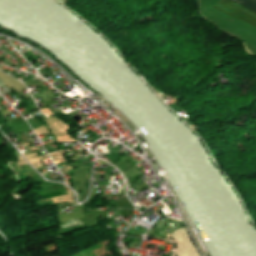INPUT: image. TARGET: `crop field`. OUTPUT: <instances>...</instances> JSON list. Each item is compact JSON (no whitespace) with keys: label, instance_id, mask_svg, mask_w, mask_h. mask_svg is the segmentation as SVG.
<instances>
[{"label":"crop field","instance_id":"1","mask_svg":"<svg viewBox=\"0 0 256 256\" xmlns=\"http://www.w3.org/2000/svg\"><path fill=\"white\" fill-rule=\"evenodd\" d=\"M256 13V0H236ZM234 0H218L214 6L234 15L233 19L256 26V14Z\"/></svg>","mask_w":256,"mask_h":256},{"label":"crop field","instance_id":"2","mask_svg":"<svg viewBox=\"0 0 256 256\" xmlns=\"http://www.w3.org/2000/svg\"><path fill=\"white\" fill-rule=\"evenodd\" d=\"M172 235L178 242L177 253L179 256H200L185 228L176 230ZM177 253L173 256H178Z\"/></svg>","mask_w":256,"mask_h":256}]
</instances>
